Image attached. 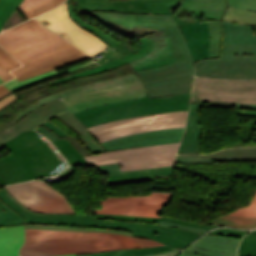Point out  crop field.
<instances>
[{"instance_id":"obj_1","label":"crop field","mask_w":256,"mask_h":256,"mask_svg":"<svg viewBox=\"0 0 256 256\" xmlns=\"http://www.w3.org/2000/svg\"><path fill=\"white\" fill-rule=\"evenodd\" d=\"M104 26L130 38H140L163 30L169 37L177 63L138 71L150 97L191 91L194 63L183 35L172 16L88 12Z\"/></svg>"},{"instance_id":"obj_2","label":"crop field","mask_w":256,"mask_h":256,"mask_svg":"<svg viewBox=\"0 0 256 256\" xmlns=\"http://www.w3.org/2000/svg\"><path fill=\"white\" fill-rule=\"evenodd\" d=\"M0 199L24 217V223L61 224L118 229L133 232L132 236L157 240L167 246L114 250L77 256H141L174 249L182 250L201 233L172 229L153 223L127 222L95 219V215L87 214H40L32 212L19 204L5 188L0 189Z\"/></svg>"},{"instance_id":"obj_3","label":"crop field","mask_w":256,"mask_h":256,"mask_svg":"<svg viewBox=\"0 0 256 256\" xmlns=\"http://www.w3.org/2000/svg\"><path fill=\"white\" fill-rule=\"evenodd\" d=\"M0 45L24 65L11 71L17 77L83 55L34 19L0 33Z\"/></svg>"},{"instance_id":"obj_4","label":"crop field","mask_w":256,"mask_h":256,"mask_svg":"<svg viewBox=\"0 0 256 256\" xmlns=\"http://www.w3.org/2000/svg\"><path fill=\"white\" fill-rule=\"evenodd\" d=\"M3 145L13 153L0 158V184L52 176L68 166L56 148L35 131L23 132Z\"/></svg>"},{"instance_id":"obj_5","label":"crop field","mask_w":256,"mask_h":256,"mask_svg":"<svg viewBox=\"0 0 256 256\" xmlns=\"http://www.w3.org/2000/svg\"><path fill=\"white\" fill-rule=\"evenodd\" d=\"M162 245L150 239H139L105 233L26 229V243L21 248L20 253L21 256H48Z\"/></svg>"},{"instance_id":"obj_6","label":"crop field","mask_w":256,"mask_h":256,"mask_svg":"<svg viewBox=\"0 0 256 256\" xmlns=\"http://www.w3.org/2000/svg\"><path fill=\"white\" fill-rule=\"evenodd\" d=\"M224 38L220 59L201 60L195 75L225 79L256 78V36L253 26L222 22Z\"/></svg>"},{"instance_id":"obj_7","label":"crop field","mask_w":256,"mask_h":256,"mask_svg":"<svg viewBox=\"0 0 256 256\" xmlns=\"http://www.w3.org/2000/svg\"><path fill=\"white\" fill-rule=\"evenodd\" d=\"M191 92L180 95L142 98L122 103L104 105L74 113L86 127L123 118L139 117L169 111L188 110Z\"/></svg>"},{"instance_id":"obj_8","label":"crop field","mask_w":256,"mask_h":256,"mask_svg":"<svg viewBox=\"0 0 256 256\" xmlns=\"http://www.w3.org/2000/svg\"><path fill=\"white\" fill-rule=\"evenodd\" d=\"M175 62L172 45L165 33L161 31L138 39L137 48L124 56L88 71L66 76L51 82L50 85H55L80 76L95 74L105 69L111 70L126 63H128L134 71H137L152 69Z\"/></svg>"},{"instance_id":"obj_9","label":"crop field","mask_w":256,"mask_h":256,"mask_svg":"<svg viewBox=\"0 0 256 256\" xmlns=\"http://www.w3.org/2000/svg\"><path fill=\"white\" fill-rule=\"evenodd\" d=\"M81 13L109 11L136 14L173 15L178 26L196 23L193 13L181 7L182 0H78Z\"/></svg>"},{"instance_id":"obj_10","label":"crop field","mask_w":256,"mask_h":256,"mask_svg":"<svg viewBox=\"0 0 256 256\" xmlns=\"http://www.w3.org/2000/svg\"><path fill=\"white\" fill-rule=\"evenodd\" d=\"M178 143L116 150L85 157L91 166L121 162L120 171L174 165Z\"/></svg>"},{"instance_id":"obj_11","label":"crop field","mask_w":256,"mask_h":256,"mask_svg":"<svg viewBox=\"0 0 256 256\" xmlns=\"http://www.w3.org/2000/svg\"><path fill=\"white\" fill-rule=\"evenodd\" d=\"M187 113L188 111L169 112L139 118L123 119L94 126L87 130L96 141L103 143L108 140L144 131L184 127Z\"/></svg>"},{"instance_id":"obj_12","label":"crop field","mask_w":256,"mask_h":256,"mask_svg":"<svg viewBox=\"0 0 256 256\" xmlns=\"http://www.w3.org/2000/svg\"><path fill=\"white\" fill-rule=\"evenodd\" d=\"M191 102L256 104V80H218L195 77Z\"/></svg>"},{"instance_id":"obj_13","label":"crop field","mask_w":256,"mask_h":256,"mask_svg":"<svg viewBox=\"0 0 256 256\" xmlns=\"http://www.w3.org/2000/svg\"><path fill=\"white\" fill-rule=\"evenodd\" d=\"M22 205L41 213H78L69 200L41 179L5 186Z\"/></svg>"},{"instance_id":"obj_14","label":"crop field","mask_w":256,"mask_h":256,"mask_svg":"<svg viewBox=\"0 0 256 256\" xmlns=\"http://www.w3.org/2000/svg\"><path fill=\"white\" fill-rule=\"evenodd\" d=\"M141 79L79 92L63 97V104L72 113L94 106L147 97Z\"/></svg>"},{"instance_id":"obj_15","label":"crop field","mask_w":256,"mask_h":256,"mask_svg":"<svg viewBox=\"0 0 256 256\" xmlns=\"http://www.w3.org/2000/svg\"><path fill=\"white\" fill-rule=\"evenodd\" d=\"M36 18L47 29L65 37L89 57L109 47L97 36L72 21L68 14L67 2Z\"/></svg>"},{"instance_id":"obj_16","label":"crop field","mask_w":256,"mask_h":256,"mask_svg":"<svg viewBox=\"0 0 256 256\" xmlns=\"http://www.w3.org/2000/svg\"><path fill=\"white\" fill-rule=\"evenodd\" d=\"M171 195L152 192L146 196L106 197V200H100L102 208L96 213L161 217V209Z\"/></svg>"},{"instance_id":"obj_17","label":"crop field","mask_w":256,"mask_h":256,"mask_svg":"<svg viewBox=\"0 0 256 256\" xmlns=\"http://www.w3.org/2000/svg\"><path fill=\"white\" fill-rule=\"evenodd\" d=\"M182 7L194 12L195 16L210 19L208 25L211 33L210 57H218L222 39L220 18L227 5L225 0H184Z\"/></svg>"},{"instance_id":"obj_18","label":"crop field","mask_w":256,"mask_h":256,"mask_svg":"<svg viewBox=\"0 0 256 256\" xmlns=\"http://www.w3.org/2000/svg\"><path fill=\"white\" fill-rule=\"evenodd\" d=\"M183 129L184 128H172L161 131L145 132L108 141L101 145L106 151H109L139 146L175 143L180 141Z\"/></svg>"},{"instance_id":"obj_19","label":"crop field","mask_w":256,"mask_h":256,"mask_svg":"<svg viewBox=\"0 0 256 256\" xmlns=\"http://www.w3.org/2000/svg\"><path fill=\"white\" fill-rule=\"evenodd\" d=\"M65 111H67L66 107L59 100L41 106L40 108L29 113L20 121H18L16 124L13 125V127L1 133L0 143L3 144L7 142L8 140L20 134L23 131L34 130L35 127L52 118L56 114Z\"/></svg>"},{"instance_id":"obj_20","label":"crop field","mask_w":256,"mask_h":256,"mask_svg":"<svg viewBox=\"0 0 256 256\" xmlns=\"http://www.w3.org/2000/svg\"><path fill=\"white\" fill-rule=\"evenodd\" d=\"M239 238L206 235L186 251L206 256H236Z\"/></svg>"},{"instance_id":"obj_21","label":"crop field","mask_w":256,"mask_h":256,"mask_svg":"<svg viewBox=\"0 0 256 256\" xmlns=\"http://www.w3.org/2000/svg\"><path fill=\"white\" fill-rule=\"evenodd\" d=\"M194 63L208 58L210 34L206 22L180 26Z\"/></svg>"},{"instance_id":"obj_22","label":"crop field","mask_w":256,"mask_h":256,"mask_svg":"<svg viewBox=\"0 0 256 256\" xmlns=\"http://www.w3.org/2000/svg\"><path fill=\"white\" fill-rule=\"evenodd\" d=\"M138 78L139 77L135 73H131V74H127V75H123V76H119V77H115V78H110V79H106V80L98 81V82H95V83L78 86V87H75V88H71V89H68V90H64V91H61V92L51 94L49 96L38 99L37 102L31 104L30 106H28L24 110L20 111L16 115L15 119L12 121V125L14 123H16L18 120H20L27 113L36 109L37 107H39L43 104H46L50 101L59 99V98L65 96V95L75 93V92H79V91L92 89V88H96V87L110 85V84H114V83H119V82H124V81H128V80L138 79Z\"/></svg>"},{"instance_id":"obj_23","label":"crop field","mask_w":256,"mask_h":256,"mask_svg":"<svg viewBox=\"0 0 256 256\" xmlns=\"http://www.w3.org/2000/svg\"><path fill=\"white\" fill-rule=\"evenodd\" d=\"M228 160H256V148L219 151L210 155H177V163H201Z\"/></svg>"},{"instance_id":"obj_24","label":"crop field","mask_w":256,"mask_h":256,"mask_svg":"<svg viewBox=\"0 0 256 256\" xmlns=\"http://www.w3.org/2000/svg\"><path fill=\"white\" fill-rule=\"evenodd\" d=\"M201 123L199 121V111H190L186 133L183 136L177 154L200 153Z\"/></svg>"},{"instance_id":"obj_25","label":"crop field","mask_w":256,"mask_h":256,"mask_svg":"<svg viewBox=\"0 0 256 256\" xmlns=\"http://www.w3.org/2000/svg\"><path fill=\"white\" fill-rule=\"evenodd\" d=\"M23 241V225L0 228V256H19Z\"/></svg>"},{"instance_id":"obj_26","label":"crop field","mask_w":256,"mask_h":256,"mask_svg":"<svg viewBox=\"0 0 256 256\" xmlns=\"http://www.w3.org/2000/svg\"><path fill=\"white\" fill-rule=\"evenodd\" d=\"M92 63H95V62L90 60V61L84 62L82 64H79V65H76V66H73V67H70V68H67V69L59 71V72H56L55 70H53V71H50V72H47V73H43V74L34 76L32 78L26 79V80L21 81V82H19L15 78V79L5 83L4 85H6L9 89L14 91V90L26 87L28 85H31V84H34V83H37V82H40V81L52 78L54 76H57V75H60V74H63V73H66V72H69V71H72V70L84 67V66H87V65L92 64Z\"/></svg>"},{"instance_id":"obj_27","label":"crop field","mask_w":256,"mask_h":256,"mask_svg":"<svg viewBox=\"0 0 256 256\" xmlns=\"http://www.w3.org/2000/svg\"><path fill=\"white\" fill-rule=\"evenodd\" d=\"M65 0H23L19 8L28 19L33 18L59 4Z\"/></svg>"},{"instance_id":"obj_28","label":"crop field","mask_w":256,"mask_h":256,"mask_svg":"<svg viewBox=\"0 0 256 256\" xmlns=\"http://www.w3.org/2000/svg\"><path fill=\"white\" fill-rule=\"evenodd\" d=\"M53 145L68 160L69 165H89L87 161L82 157V155L66 138L53 142Z\"/></svg>"},{"instance_id":"obj_29","label":"crop field","mask_w":256,"mask_h":256,"mask_svg":"<svg viewBox=\"0 0 256 256\" xmlns=\"http://www.w3.org/2000/svg\"><path fill=\"white\" fill-rule=\"evenodd\" d=\"M24 228L32 229H45V230H59V231H83V232H105L120 235L131 236L130 232L100 229V228H88V227H74V226H60V225H42V224H24Z\"/></svg>"},{"instance_id":"obj_30","label":"crop field","mask_w":256,"mask_h":256,"mask_svg":"<svg viewBox=\"0 0 256 256\" xmlns=\"http://www.w3.org/2000/svg\"><path fill=\"white\" fill-rule=\"evenodd\" d=\"M223 21L244 25H256V12L241 10L229 6Z\"/></svg>"},{"instance_id":"obj_31","label":"crop field","mask_w":256,"mask_h":256,"mask_svg":"<svg viewBox=\"0 0 256 256\" xmlns=\"http://www.w3.org/2000/svg\"><path fill=\"white\" fill-rule=\"evenodd\" d=\"M207 223H215L240 228H256V217H236L223 215Z\"/></svg>"},{"instance_id":"obj_32","label":"crop field","mask_w":256,"mask_h":256,"mask_svg":"<svg viewBox=\"0 0 256 256\" xmlns=\"http://www.w3.org/2000/svg\"><path fill=\"white\" fill-rule=\"evenodd\" d=\"M103 173H109V174H120V173H130V172H138V171H143V170H149L151 174V178L153 180L154 176H163V175H171L173 172L174 166L171 167H163V168H149V169H140V170H131V171H124V172H119V165L114 164V165H108V166H101V167H96Z\"/></svg>"},{"instance_id":"obj_33","label":"crop field","mask_w":256,"mask_h":256,"mask_svg":"<svg viewBox=\"0 0 256 256\" xmlns=\"http://www.w3.org/2000/svg\"><path fill=\"white\" fill-rule=\"evenodd\" d=\"M151 180L149 171H143L139 173L121 174V175H110L108 184H123L130 182H139Z\"/></svg>"},{"instance_id":"obj_34","label":"crop field","mask_w":256,"mask_h":256,"mask_svg":"<svg viewBox=\"0 0 256 256\" xmlns=\"http://www.w3.org/2000/svg\"><path fill=\"white\" fill-rule=\"evenodd\" d=\"M0 227L23 224L24 219L0 200Z\"/></svg>"},{"instance_id":"obj_35","label":"crop field","mask_w":256,"mask_h":256,"mask_svg":"<svg viewBox=\"0 0 256 256\" xmlns=\"http://www.w3.org/2000/svg\"><path fill=\"white\" fill-rule=\"evenodd\" d=\"M22 0H0V31L3 23L16 10Z\"/></svg>"},{"instance_id":"obj_36","label":"crop field","mask_w":256,"mask_h":256,"mask_svg":"<svg viewBox=\"0 0 256 256\" xmlns=\"http://www.w3.org/2000/svg\"><path fill=\"white\" fill-rule=\"evenodd\" d=\"M238 256H256V235L247 234L244 237Z\"/></svg>"},{"instance_id":"obj_37","label":"crop field","mask_w":256,"mask_h":256,"mask_svg":"<svg viewBox=\"0 0 256 256\" xmlns=\"http://www.w3.org/2000/svg\"><path fill=\"white\" fill-rule=\"evenodd\" d=\"M96 218L128 220V221H140V222H153V223H159L160 222V218L125 216V215H111V214H96Z\"/></svg>"},{"instance_id":"obj_38","label":"crop field","mask_w":256,"mask_h":256,"mask_svg":"<svg viewBox=\"0 0 256 256\" xmlns=\"http://www.w3.org/2000/svg\"><path fill=\"white\" fill-rule=\"evenodd\" d=\"M78 138L85 145V147L90 151L91 154L105 151L103 147L94 140V138L91 136L89 132L81 136H78Z\"/></svg>"},{"instance_id":"obj_39","label":"crop field","mask_w":256,"mask_h":256,"mask_svg":"<svg viewBox=\"0 0 256 256\" xmlns=\"http://www.w3.org/2000/svg\"><path fill=\"white\" fill-rule=\"evenodd\" d=\"M20 65L21 64L15 58L0 47V66L10 71Z\"/></svg>"},{"instance_id":"obj_40","label":"crop field","mask_w":256,"mask_h":256,"mask_svg":"<svg viewBox=\"0 0 256 256\" xmlns=\"http://www.w3.org/2000/svg\"><path fill=\"white\" fill-rule=\"evenodd\" d=\"M227 214L236 215V216H256V194L252 198V200L249 202L247 207L238 208Z\"/></svg>"},{"instance_id":"obj_41","label":"crop field","mask_w":256,"mask_h":256,"mask_svg":"<svg viewBox=\"0 0 256 256\" xmlns=\"http://www.w3.org/2000/svg\"><path fill=\"white\" fill-rule=\"evenodd\" d=\"M85 58H88V57L85 56V55H83V56H81V57H78V58H75V59H72V60H69V61H66V62L57 64V65H54V66H51V67H48V68H45V69H42V70H39V71L30 73V74H28V75L19 77V78H17V79H18L19 81H21V80H24V79H26V78L32 77V76H34V75H37V74H40V73H43V72H46V71H50V70H53V69H57L58 67H63V66L69 65V64H71V63H74V62L83 60V59H85Z\"/></svg>"},{"instance_id":"obj_42","label":"crop field","mask_w":256,"mask_h":256,"mask_svg":"<svg viewBox=\"0 0 256 256\" xmlns=\"http://www.w3.org/2000/svg\"><path fill=\"white\" fill-rule=\"evenodd\" d=\"M58 117L62 118L64 121H66L70 126L75 128L79 133L87 132V130L79 123V121L70 114L69 111L58 115Z\"/></svg>"},{"instance_id":"obj_43","label":"crop field","mask_w":256,"mask_h":256,"mask_svg":"<svg viewBox=\"0 0 256 256\" xmlns=\"http://www.w3.org/2000/svg\"><path fill=\"white\" fill-rule=\"evenodd\" d=\"M230 6L256 11V0H228Z\"/></svg>"},{"instance_id":"obj_44","label":"crop field","mask_w":256,"mask_h":256,"mask_svg":"<svg viewBox=\"0 0 256 256\" xmlns=\"http://www.w3.org/2000/svg\"><path fill=\"white\" fill-rule=\"evenodd\" d=\"M248 231H238L233 229H216L207 234H214V235H225V236H232V237H240L242 238Z\"/></svg>"},{"instance_id":"obj_45","label":"crop field","mask_w":256,"mask_h":256,"mask_svg":"<svg viewBox=\"0 0 256 256\" xmlns=\"http://www.w3.org/2000/svg\"><path fill=\"white\" fill-rule=\"evenodd\" d=\"M161 220L171 222V223H176V224L203 227V228H206V229H213V228H216V227H220V226H216V225L195 224V223H190V222L168 219V218H164V217H161Z\"/></svg>"},{"instance_id":"obj_46","label":"crop field","mask_w":256,"mask_h":256,"mask_svg":"<svg viewBox=\"0 0 256 256\" xmlns=\"http://www.w3.org/2000/svg\"><path fill=\"white\" fill-rule=\"evenodd\" d=\"M76 148L77 150L85 157L91 155L88 150L83 146V144L78 140L77 137H66Z\"/></svg>"},{"instance_id":"obj_47","label":"crop field","mask_w":256,"mask_h":256,"mask_svg":"<svg viewBox=\"0 0 256 256\" xmlns=\"http://www.w3.org/2000/svg\"><path fill=\"white\" fill-rule=\"evenodd\" d=\"M160 225L172 227V228H178V229H184V230H190V231H196V232H202L205 233L207 230L203 228H197V227H189V226H182V225H176V224H170L166 222H160Z\"/></svg>"},{"instance_id":"obj_48","label":"crop field","mask_w":256,"mask_h":256,"mask_svg":"<svg viewBox=\"0 0 256 256\" xmlns=\"http://www.w3.org/2000/svg\"><path fill=\"white\" fill-rule=\"evenodd\" d=\"M42 126H44L47 129L53 131L55 134H57L61 138L67 136V133H65L63 130H61L60 128H58L56 125H54L53 123H51L49 121L42 124Z\"/></svg>"},{"instance_id":"obj_49","label":"crop field","mask_w":256,"mask_h":256,"mask_svg":"<svg viewBox=\"0 0 256 256\" xmlns=\"http://www.w3.org/2000/svg\"><path fill=\"white\" fill-rule=\"evenodd\" d=\"M211 105L233 108V105H228V104H219V103H192V104H191V107H190V110H199V107H202V106H211Z\"/></svg>"},{"instance_id":"obj_50","label":"crop field","mask_w":256,"mask_h":256,"mask_svg":"<svg viewBox=\"0 0 256 256\" xmlns=\"http://www.w3.org/2000/svg\"><path fill=\"white\" fill-rule=\"evenodd\" d=\"M37 132L41 133L42 135L46 136L51 142L59 139V137L57 135H55L53 132L39 126L38 128H36Z\"/></svg>"},{"instance_id":"obj_51","label":"crop field","mask_w":256,"mask_h":256,"mask_svg":"<svg viewBox=\"0 0 256 256\" xmlns=\"http://www.w3.org/2000/svg\"><path fill=\"white\" fill-rule=\"evenodd\" d=\"M15 98H17L16 95L12 93L11 95H9V96H7L6 98L2 99V100L0 101V109H1L2 107H4L5 105H7L8 103H10V102H11L12 100H14Z\"/></svg>"},{"instance_id":"obj_52","label":"crop field","mask_w":256,"mask_h":256,"mask_svg":"<svg viewBox=\"0 0 256 256\" xmlns=\"http://www.w3.org/2000/svg\"><path fill=\"white\" fill-rule=\"evenodd\" d=\"M235 109L256 111V105L234 104Z\"/></svg>"},{"instance_id":"obj_53","label":"crop field","mask_w":256,"mask_h":256,"mask_svg":"<svg viewBox=\"0 0 256 256\" xmlns=\"http://www.w3.org/2000/svg\"><path fill=\"white\" fill-rule=\"evenodd\" d=\"M0 77L3 78L5 81L10 80L14 78L13 75H11L7 70L0 67Z\"/></svg>"},{"instance_id":"obj_54","label":"crop field","mask_w":256,"mask_h":256,"mask_svg":"<svg viewBox=\"0 0 256 256\" xmlns=\"http://www.w3.org/2000/svg\"><path fill=\"white\" fill-rule=\"evenodd\" d=\"M11 93L12 91L5 87L3 84L0 85V100Z\"/></svg>"},{"instance_id":"obj_55","label":"crop field","mask_w":256,"mask_h":256,"mask_svg":"<svg viewBox=\"0 0 256 256\" xmlns=\"http://www.w3.org/2000/svg\"><path fill=\"white\" fill-rule=\"evenodd\" d=\"M179 252H180L179 250H174V251L158 253V254H153V255H147V256H176Z\"/></svg>"},{"instance_id":"obj_56","label":"crop field","mask_w":256,"mask_h":256,"mask_svg":"<svg viewBox=\"0 0 256 256\" xmlns=\"http://www.w3.org/2000/svg\"><path fill=\"white\" fill-rule=\"evenodd\" d=\"M75 170V167H69L67 168L63 173L59 174L63 179L67 178L73 171Z\"/></svg>"},{"instance_id":"obj_57","label":"crop field","mask_w":256,"mask_h":256,"mask_svg":"<svg viewBox=\"0 0 256 256\" xmlns=\"http://www.w3.org/2000/svg\"><path fill=\"white\" fill-rule=\"evenodd\" d=\"M238 114L241 115H256V112L253 111H243V110H236Z\"/></svg>"},{"instance_id":"obj_58","label":"crop field","mask_w":256,"mask_h":256,"mask_svg":"<svg viewBox=\"0 0 256 256\" xmlns=\"http://www.w3.org/2000/svg\"><path fill=\"white\" fill-rule=\"evenodd\" d=\"M18 99V98H17ZM17 99H15L14 101H16ZM14 101H12L11 103H13ZM10 103V104H11ZM10 104H8L7 106H5L4 108H2L1 110H0V117H3V113L5 112V110L4 109H6L8 106H10Z\"/></svg>"},{"instance_id":"obj_59","label":"crop field","mask_w":256,"mask_h":256,"mask_svg":"<svg viewBox=\"0 0 256 256\" xmlns=\"http://www.w3.org/2000/svg\"><path fill=\"white\" fill-rule=\"evenodd\" d=\"M181 256H201V255H196V254H191V253L184 252Z\"/></svg>"},{"instance_id":"obj_60","label":"crop field","mask_w":256,"mask_h":256,"mask_svg":"<svg viewBox=\"0 0 256 256\" xmlns=\"http://www.w3.org/2000/svg\"><path fill=\"white\" fill-rule=\"evenodd\" d=\"M58 256H76V254L58 255Z\"/></svg>"},{"instance_id":"obj_61","label":"crop field","mask_w":256,"mask_h":256,"mask_svg":"<svg viewBox=\"0 0 256 256\" xmlns=\"http://www.w3.org/2000/svg\"><path fill=\"white\" fill-rule=\"evenodd\" d=\"M5 81L3 79L0 78V84L4 83Z\"/></svg>"},{"instance_id":"obj_62","label":"crop field","mask_w":256,"mask_h":256,"mask_svg":"<svg viewBox=\"0 0 256 256\" xmlns=\"http://www.w3.org/2000/svg\"><path fill=\"white\" fill-rule=\"evenodd\" d=\"M250 233H252V234H256V230H255V231H252V232H250Z\"/></svg>"},{"instance_id":"obj_63","label":"crop field","mask_w":256,"mask_h":256,"mask_svg":"<svg viewBox=\"0 0 256 256\" xmlns=\"http://www.w3.org/2000/svg\"><path fill=\"white\" fill-rule=\"evenodd\" d=\"M254 30H255V35H256V26H254Z\"/></svg>"},{"instance_id":"obj_64","label":"crop field","mask_w":256,"mask_h":256,"mask_svg":"<svg viewBox=\"0 0 256 256\" xmlns=\"http://www.w3.org/2000/svg\"><path fill=\"white\" fill-rule=\"evenodd\" d=\"M3 146L0 145V149L2 148Z\"/></svg>"},{"instance_id":"obj_65","label":"crop field","mask_w":256,"mask_h":256,"mask_svg":"<svg viewBox=\"0 0 256 256\" xmlns=\"http://www.w3.org/2000/svg\"><path fill=\"white\" fill-rule=\"evenodd\" d=\"M2 209L0 208V211H1Z\"/></svg>"}]
</instances>
